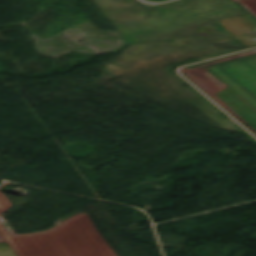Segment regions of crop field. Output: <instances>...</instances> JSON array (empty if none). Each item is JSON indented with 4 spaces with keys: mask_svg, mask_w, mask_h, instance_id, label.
Wrapping results in <instances>:
<instances>
[{
    "mask_svg": "<svg viewBox=\"0 0 256 256\" xmlns=\"http://www.w3.org/2000/svg\"><path fill=\"white\" fill-rule=\"evenodd\" d=\"M208 69L256 107V55Z\"/></svg>",
    "mask_w": 256,
    "mask_h": 256,
    "instance_id": "crop-field-1",
    "label": "crop field"
},
{
    "mask_svg": "<svg viewBox=\"0 0 256 256\" xmlns=\"http://www.w3.org/2000/svg\"><path fill=\"white\" fill-rule=\"evenodd\" d=\"M181 72L185 73L198 87L215 100L219 99L214 95L215 93L229 87V85L207 68L200 69L196 67L194 69H182Z\"/></svg>",
    "mask_w": 256,
    "mask_h": 256,
    "instance_id": "crop-field-2",
    "label": "crop field"
},
{
    "mask_svg": "<svg viewBox=\"0 0 256 256\" xmlns=\"http://www.w3.org/2000/svg\"><path fill=\"white\" fill-rule=\"evenodd\" d=\"M256 128V108L231 87L215 94Z\"/></svg>",
    "mask_w": 256,
    "mask_h": 256,
    "instance_id": "crop-field-3",
    "label": "crop field"
},
{
    "mask_svg": "<svg viewBox=\"0 0 256 256\" xmlns=\"http://www.w3.org/2000/svg\"><path fill=\"white\" fill-rule=\"evenodd\" d=\"M224 26L239 40L248 46L256 45V20L242 18L228 20Z\"/></svg>",
    "mask_w": 256,
    "mask_h": 256,
    "instance_id": "crop-field-4",
    "label": "crop field"
},
{
    "mask_svg": "<svg viewBox=\"0 0 256 256\" xmlns=\"http://www.w3.org/2000/svg\"><path fill=\"white\" fill-rule=\"evenodd\" d=\"M253 54H256V50H255V51L248 52V53L236 55V56H233V57L221 59V60H219L218 62L211 63V64L204 65V66H200V67L203 68V67H207V66L214 65V64H217V63H221V62H225V61H229V60H233V59H237V58H241V57H245V56H249V55H253Z\"/></svg>",
    "mask_w": 256,
    "mask_h": 256,
    "instance_id": "crop-field-5",
    "label": "crop field"
},
{
    "mask_svg": "<svg viewBox=\"0 0 256 256\" xmlns=\"http://www.w3.org/2000/svg\"><path fill=\"white\" fill-rule=\"evenodd\" d=\"M244 3L254 1V0H242Z\"/></svg>",
    "mask_w": 256,
    "mask_h": 256,
    "instance_id": "crop-field-6",
    "label": "crop field"
},
{
    "mask_svg": "<svg viewBox=\"0 0 256 256\" xmlns=\"http://www.w3.org/2000/svg\"><path fill=\"white\" fill-rule=\"evenodd\" d=\"M256 135V131L253 132Z\"/></svg>",
    "mask_w": 256,
    "mask_h": 256,
    "instance_id": "crop-field-7",
    "label": "crop field"
}]
</instances>
